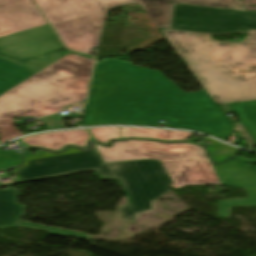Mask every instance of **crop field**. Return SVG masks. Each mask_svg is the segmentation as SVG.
Wrapping results in <instances>:
<instances>
[{"mask_svg":"<svg viewBox=\"0 0 256 256\" xmlns=\"http://www.w3.org/2000/svg\"><path fill=\"white\" fill-rule=\"evenodd\" d=\"M199 130L224 141L235 130L206 90L188 93L156 70L96 63L83 126L133 124Z\"/></svg>","mask_w":256,"mask_h":256,"instance_id":"obj_1","label":"crop field"},{"mask_svg":"<svg viewBox=\"0 0 256 256\" xmlns=\"http://www.w3.org/2000/svg\"><path fill=\"white\" fill-rule=\"evenodd\" d=\"M216 104L256 100V31L239 43L161 29Z\"/></svg>","mask_w":256,"mask_h":256,"instance_id":"obj_2","label":"crop field"},{"mask_svg":"<svg viewBox=\"0 0 256 256\" xmlns=\"http://www.w3.org/2000/svg\"><path fill=\"white\" fill-rule=\"evenodd\" d=\"M96 147L104 162L160 160L173 180L170 186L174 188L199 184L245 188L249 198L219 202L218 216L229 217L231 206L256 205V169L235 160L223 166H214L204 148L197 145L127 140L115 141L110 148Z\"/></svg>","mask_w":256,"mask_h":256,"instance_id":"obj_3","label":"crop field"},{"mask_svg":"<svg viewBox=\"0 0 256 256\" xmlns=\"http://www.w3.org/2000/svg\"><path fill=\"white\" fill-rule=\"evenodd\" d=\"M95 172L99 179H116L127 195L129 205L121 206L124 220L153 209L152 201L170 191L172 182L160 161L138 160L102 163L96 149L29 161L17 170L24 182Z\"/></svg>","mask_w":256,"mask_h":256,"instance_id":"obj_4","label":"crop field"},{"mask_svg":"<svg viewBox=\"0 0 256 256\" xmlns=\"http://www.w3.org/2000/svg\"><path fill=\"white\" fill-rule=\"evenodd\" d=\"M93 62L68 54L0 96V143L21 135L13 117H40L84 100Z\"/></svg>","mask_w":256,"mask_h":256,"instance_id":"obj_5","label":"crop field"},{"mask_svg":"<svg viewBox=\"0 0 256 256\" xmlns=\"http://www.w3.org/2000/svg\"><path fill=\"white\" fill-rule=\"evenodd\" d=\"M68 48L92 53L99 46L107 10L133 0H35Z\"/></svg>","mask_w":256,"mask_h":256,"instance_id":"obj_6","label":"crop field"},{"mask_svg":"<svg viewBox=\"0 0 256 256\" xmlns=\"http://www.w3.org/2000/svg\"><path fill=\"white\" fill-rule=\"evenodd\" d=\"M170 29L211 34L256 30V11H238L173 3Z\"/></svg>","mask_w":256,"mask_h":256,"instance_id":"obj_7","label":"crop field"},{"mask_svg":"<svg viewBox=\"0 0 256 256\" xmlns=\"http://www.w3.org/2000/svg\"><path fill=\"white\" fill-rule=\"evenodd\" d=\"M50 25L0 38V52L19 60L62 49Z\"/></svg>","mask_w":256,"mask_h":256,"instance_id":"obj_8","label":"crop field"},{"mask_svg":"<svg viewBox=\"0 0 256 256\" xmlns=\"http://www.w3.org/2000/svg\"><path fill=\"white\" fill-rule=\"evenodd\" d=\"M44 24L32 0H0V37Z\"/></svg>","mask_w":256,"mask_h":256,"instance_id":"obj_9","label":"crop field"},{"mask_svg":"<svg viewBox=\"0 0 256 256\" xmlns=\"http://www.w3.org/2000/svg\"><path fill=\"white\" fill-rule=\"evenodd\" d=\"M26 206L17 204V189H0V227H11V226H29L41 229L50 230L49 233L74 237L80 239H88L87 234L73 232L68 230H59L51 227L33 224L29 222L21 221V217L24 215ZM46 230V231H47Z\"/></svg>","mask_w":256,"mask_h":256,"instance_id":"obj_10","label":"crop field"},{"mask_svg":"<svg viewBox=\"0 0 256 256\" xmlns=\"http://www.w3.org/2000/svg\"><path fill=\"white\" fill-rule=\"evenodd\" d=\"M159 28H169L172 2L244 10L239 0H138Z\"/></svg>","mask_w":256,"mask_h":256,"instance_id":"obj_11","label":"crop field"},{"mask_svg":"<svg viewBox=\"0 0 256 256\" xmlns=\"http://www.w3.org/2000/svg\"><path fill=\"white\" fill-rule=\"evenodd\" d=\"M90 138L86 130L48 133L22 139L35 147H45L54 151L61 150L67 144L87 148L86 142Z\"/></svg>","mask_w":256,"mask_h":256,"instance_id":"obj_12","label":"crop field"},{"mask_svg":"<svg viewBox=\"0 0 256 256\" xmlns=\"http://www.w3.org/2000/svg\"><path fill=\"white\" fill-rule=\"evenodd\" d=\"M121 137H137V138H157L162 141H181L190 138L192 133L155 130L145 128H121Z\"/></svg>","mask_w":256,"mask_h":256,"instance_id":"obj_13","label":"crop field"},{"mask_svg":"<svg viewBox=\"0 0 256 256\" xmlns=\"http://www.w3.org/2000/svg\"><path fill=\"white\" fill-rule=\"evenodd\" d=\"M256 142V101L229 104Z\"/></svg>","mask_w":256,"mask_h":256,"instance_id":"obj_14","label":"crop field"},{"mask_svg":"<svg viewBox=\"0 0 256 256\" xmlns=\"http://www.w3.org/2000/svg\"><path fill=\"white\" fill-rule=\"evenodd\" d=\"M66 54L67 53H53V54L42 56V57L30 60V61H26V62H21L19 60L12 59V58L4 56L2 54H0V57L39 72L40 70L44 69L45 67L52 64L53 62L60 59L61 57H63Z\"/></svg>","mask_w":256,"mask_h":256,"instance_id":"obj_15","label":"crop field"},{"mask_svg":"<svg viewBox=\"0 0 256 256\" xmlns=\"http://www.w3.org/2000/svg\"><path fill=\"white\" fill-rule=\"evenodd\" d=\"M209 141L213 143L210 147H208V150L214 160V162L219 163L226 159L229 156L236 155V152L239 150L237 148L229 147L223 144H220L218 142L212 141L210 139H205L204 141Z\"/></svg>","mask_w":256,"mask_h":256,"instance_id":"obj_16","label":"crop field"},{"mask_svg":"<svg viewBox=\"0 0 256 256\" xmlns=\"http://www.w3.org/2000/svg\"><path fill=\"white\" fill-rule=\"evenodd\" d=\"M89 130L95 140L105 145H107L111 139L121 138L119 127L95 128Z\"/></svg>","mask_w":256,"mask_h":256,"instance_id":"obj_17","label":"crop field"},{"mask_svg":"<svg viewBox=\"0 0 256 256\" xmlns=\"http://www.w3.org/2000/svg\"><path fill=\"white\" fill-rule=\"evenodd\" d=\"M71 117H81L80 114H67L62 116L61 114H55L52 116H48L45 118H42V122L45 124V126L48 128V130L53 129H62L66 128L64 124L63 118H71Z\"/></svg>","mask_w":256,"mask_h":256,"instance_id":"obj_18","label":"crop field"},{"mask_svg":"<svg viewBox=\"0 0 256 256\" xmlns=\"http://www.w3.org/2000/svg\"><path fill=\"white\" fill-rule=\"evenodd\" d=\"M20 163V154L0 149V168Z\"/></svg>","mask_w":256,"mask_h":256,"instance_id":"obj_19","label":"crop field"},{"mask_svg":"<svg viewBox=\"0 0 256 256\" xmlns=\"http://www.w3.org/2000/svg\"><path fill=\"white\" fill-rule=\"evenodd\" d=\"M74 152H80V151L76 150V149H73V148H68L65 153H61V154H52L50 152H43V151L38 152V154H36V155H34V154H27V156H26L27 160H26L25 165L28 163L29 160H32V159H38V158H44V157H50V156H56V155L74 153ZM25 165L22 166V167H19V168H16V169L12 170L13 173L15 174V176L18 177L19 179H20V177L18 176V174L16 173L15 170L23 168V167H25Z\"/></svg>","mask_w":256,"mask_h":256,"instance_id":"obj_20","label":"crop field"}]
</instances>
